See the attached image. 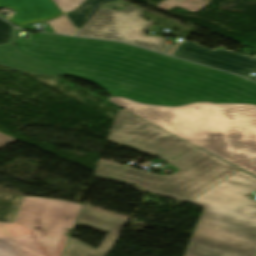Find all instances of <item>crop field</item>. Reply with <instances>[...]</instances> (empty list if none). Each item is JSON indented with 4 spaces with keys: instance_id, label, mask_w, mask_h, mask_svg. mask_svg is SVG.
<instances>
[{
    "instance_id": "obj_7",
    "label": "crop field",
    "mask_w": 256,
    "mask_h": 256,
    "mask_svg": "<svg viewBox=\"0 0 256 256\" xmlns=\"http://www.w3.org/2000/svg\"><path fill=\"white\" fill-rule=\"evenodd\" d=\"M151 24L134 5L123 11L100 9L76 35L123 41L164 53L170 46L167 39L144 35Z\"/></svg>"
},
{
    "instance_id": "obj_4",
    "label": "crop field",
    "mask_w": 256,
    "mask_h": 256,
    "mask_svg": "<svg viewBox=\"0 0 256 256\" xmlns=\"http://www.w3.org/2000/svg\"><path fill=\"white\" fill-rule=\"evenodd\" d=\"M174 166L181 171L171 176L129 168L113 178L136 183L150 193L188 202L239 170L203 151Z\"/></svg>"
},
{
    "instance_id": "obj_13",
    "label": "crop field",
    "mask_w": 256,
    "mask_h": 256,
    "mask_svg": "<svg viewBox=\"0 0 256 256\" xmlns=\"http://www.w3.org/2000/svg\"><path fill=\"white\" fill-rule=\"evenodd\" d=\"M112 1L114 0H88L81 7L66 15L79 31L101 6Z\"/></svg>"
},
{
    "instance_id": "obj_15",
    "label": "crop field",
    "mask_w": 256,
    "mask_h": 256,
    "mask_svg": "<svg viewBox=\"0 0 256 256\" xmlns=\"http://www.w3.org/2000/svg\"><path fill=\"white\" fill-rule=\"evenodd\" d=\"M184 254L189 256H239L191 241Z\"/></svg>"
},
{
    "instance_id": "obj_11",
    "label": "crop field",
    "mask_w": 256,
    "mask_h": 256,
    "mask_svg": "<svg viewBox=\"0 0 256 256\" xmlns=\"http://www.w3.org/2000/svg\"><path fill=\"white\" fill-rule=\"evenodd\" d=\"M5 6L16 11L9 21L17 26L54 18L62 12L52 0H0V8Z\"/></svg>"
},
{
    "instance_id": "obj_10",
    "label": "crop field",
    "mask_w": 256,
    "mask_h": 256,
    "mask_svg": "<svg viewBox=\"0 0 256 256\" xmlns=\"http://www.w3.org/2000/svg\"><path fill=\"white\" fill-rule=\"evenodd\" d=\"M172 56L207 64L237 74L252 60V58L221 49L211 51L187 41H184Z\"/></svg>"
},
{
    "instance_id": "obj_9",
    "label": "crop field",
    "mask_w": 256,
    "mask_h": 256,
    "mask_svg": "<svg viewBox=\"0 0 256 256\" xmlns=\"http://www.w3.org/2000/svg\"><path fill=\"white\" fill-rule=\"evenodd\" d=\"M79 222L103 228L110 231L98 251L74 240L70 239L64 256H106L127 221L100 214L94 211H83L80 214Z\"/></svg>"
},
{
    "instance_id": "obj_6",
    "label": "crop field",
    "mask_w": 256,
    "mask_h": 256,
    "mask_svg": "<svg viewBox=\"0 0 256 256\" xmlns=\"http://www.w3.org/2000/svg\"><path fill=\"white\" fill-rule=\"evenodd\" d=\"M256 191V179L237 171L189 203L205 208L204 213L256 228V202L246 197Z\"/></svg>"
},
{
    "instance_id": "obj_5",
    "label": "crop field",
    "mask_w": 256,
    "mask_h": 256,
    "mask_svg": "<svg viewBox=\"0 0 256 256\" xmlns=\"http://www.w3.org/2000/svg\"><path fill=\"white\" fill-rule=\"evenodd\" d=\"M108 139L138 148L171 164L197 149L122 109L118 110Z\"/></svg>"
},
{
    "instance_id": "obj_22",
    "label": "crop field",
    "mask_w": 256,
    "mask_h": 256,
    "mask_svg": "<svg viewBox=\"0 0 256 256\" xmlns=\"http://www.w3.org/2000/svg\"><path fill=\"white\" fill-rule=\"evenodd\" d=\"M15 30H16V28H14V31H13V37H12V44H14V42H13V38H14V32H15Z\"/></svg>"
},
{
    "instance_id": "obj_17",
    "label": "crop field",
    "mask_w": 256,
    "mask_h": 256,
    "mask_svg": "<svg viewBox=\"0 0 256 256\" xmlns=\"http://www.w3.org/2000/svg\"><path fill=\"white\" fill-rule=\"evenodd\" d=\"M99 166H102V167H99ZM127 167L129 166L128 165L121 166V165L100 160L95 174L103 177L113 176L114 174L124 170Z\"/></svg>"
},
{
    "instance_id": "obj_2",
    "label": "crop field",
    "mask_w": 256,
    "mask_h": 256,
    "mask_svg": "<svg viewBox=\"0 0 256 256\" xmlns=\"http://www.w3.org/2000/svg\"><path fill=\"white\" fill-rule=\"evenodd\" d=\"M108 102L256 175V106L198 102L144 105L123 97Z\"/></svg>"
},
{
    "instance_id": "obj_8",
    "label": "crop field",
    "mask_w": 256,
    "mask_h": 256,
    "mask_svg": "<svg viewBox=\"0 0 256 256\" xmlns=\"http://www.w3.org/2000/svg\"><path fill=\"white\" fill-rule=\"evenodd\" d=\"M190 240L243 256H256L255 229L204 213Z\"/></svg>"
},
{
    "instance_id": "obj_20",
    "label": "crop field",
    "mask_w": 256,
    "mask_h": 256,
    "mask_svg": "<svg viewBox=\"0 0 256 256\" xmlns=\"http://www.w3.org/2000/svg\"><path fill=\"white\" fill-rule=\"evenodd\" d=\"M250 72H256V58H254L251 63L240 73V75L246 77Z\"/></svg>"
},
{
    "instance_id": "obj_12",
    "label": "crop field",
    "mask_w": 256,
    "mask_h": 256,
    "mask_svg": "<svg viewBox=\"0 0 256 256\" xmlns=\"http://www.w3.org/2000/svg\"><path fill=\"white\" fill-rule=\"evenodd\" d=\"M0 62L22 70L35 71L45 74L58 73L57 71L16 52L11 44L0 46Z\"/></svg>"
},
{
    "instance_id": "obj_23",
    "label": "crop field",
    "mask_w": 256,
    "mask_h": 256,
    "mask_svg": "<svg viewBox=\"0 0 256 256\" xmlns=\"http://www.w3.org/2000/svg\"><path fill=\"white\" fill-rule=\"evenodd\" d=\"M185 256V255H184Z\"/></svg>"
},
{
    "instance_id": "obj_1",
    "label": "crop field",
    "mask_w": 256,
    "mask_h": 256,
    "mask_svg": "<svg viewBox=\"0 0 256 256\" xmlns=\"http://www.w3.org/2000/svg\"><path fill=\"white\" fill-rule=\"evenodd\" d=\"M15 41L25 55L112 95L162 105L196 100L256 104V83L126 44L42 33Z\"/></svg>"
},
{
    "instance_id": "obj_3",
    "label": "crop field",
    "mask_w": 256,
    "mask_h": 256,
    "mask_svg": "<svg viewBox=\"0 0 256 256\" xmlns=\"http://www.w3.org/2000/svg\"><path fill=\"white\" fill-rule=\"evenodd\" d=\"M81 207L24 197L14 223H0V256H61Z\"/></svg>"
},
{
    "instance_id": "obj_21",
    "label": "crop field",
    "mask_w": 256,
    "mask_h": 256,
    "mask_svg": "<svg viewBox=\"0 0 256 256\" xmlns=\"http://www.w3.org/2000/svg\"><path fill=\"white\" fill-rule=\"evenodd\" d=\"M0 66H3V67H6L4 65H1ZM8 68V67H6ZM10 69V68H9ZM13 70V69H12ZM16 71V70H15ZM18 72H21V71H18ZM22 73H25V74H29V75H34V76H42V77H51V78H56L57 76H50V75H40V74H34V73H28V72H22Z\"/></svg>"
},
{
    "instance_id": "obj_18",
    "label": "crop field",
    "mask_w": 256,
    "mask_h": 256,
    "mask_svg": "<svg viewBox=\"0 0 256 256\" xmlns=\"http://www.w3.org/2000/svg\"><path fill=\"white\" fill-rule=\"evenodd\" d=\"M58 8L64 12H68L76 7H78L85 0H53Z\"/></svg>"
},
{
    "instance_id": "obj_14",
    "label": "crop field",
    "mask_w": 256,
    "mask_h": 256,
    "mask_svg": "<svg viewBox=\"0 0 256 256\" xmlns=\"http://www.w3.org/2000/svg\"><path fill=\"white\" fill-rule=\"evenodd\" d=\"M209 2L210 0H165L156 6L165 10L178 7L196 13L207 6Z\"/></svg>"
},
{
    "instance_id": "obj_19",
    "label": "crop field",
    "mask_w": 256,
    "mask_h": 256,
    "mask_svg": "<svg viewBox=\"0 0 256 256\" xmlns=\"http://www.w3.org/2000/svg\"><path fill=\"white\" fill-rule=\"evenodd\" d=\"M11 27L0 20V44L9 42Z\"/></svg>"
},
{
    "instance_id": "obj_16",
    "label": "crop field",
    "mask_w": 256,
    "mask_h": 256,
    "mask_svg": "<svg viewBox=\"0 0 256 256\" xmlns=\"http://www.w3.org/2000/svg\"><path fill=\"white\" fill-rule=\"evenodd\" d=\"M47 23L55 33L72 35L76 31L64 17V15L60 16L59 18L47 21Z\"/></svg>"
}]
</instances>
